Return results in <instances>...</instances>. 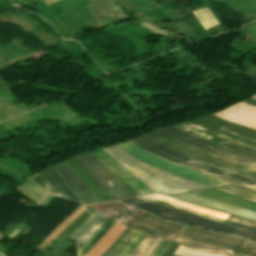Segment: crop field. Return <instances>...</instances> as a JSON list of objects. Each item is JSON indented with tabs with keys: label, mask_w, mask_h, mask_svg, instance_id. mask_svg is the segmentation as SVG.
Here are the masks:
<instances>
[{
	"label": "crop field",
	"mask_w": 256,
	"mask_h": 256,
	"mask_svg": "<svg viewBox=\"0 0 256 256\" xmlns=\"http://www.w3.org/2000/svg\"><path fill=\"white\" fill-rule=\"evenodd\" d=\"M131 143L161 157L189 168L216 176L218 178L237 183L256 190V180L239 175L228 170L213 166L200 160L182 155L172 149L163 147L145 136L130 141Z\"/></svg>",
	"instance_id": "1"
},
{
	"label": "crop field",
	"mask_w": 256,
	"mask_h": 256,
	"mask_svg": "<svg viewBox=\"0 0 256 256\" xmlns=\"http://www.w3.org/2000/svg\"><path fill=\"white\" fill-rule=\"evenodd\" d=\"M120 202H124L130 205H133L135 207L157 213L163 216H166L170 219L177 220L183 223L199 226L202 228H206L209 230L225 233V234H230V235H235L239 237H243L246 239H250L253 241H256V233L239 229L236 227L228 226L225 224H221L218 222H214L208 219H204L201 217L193 216L185 212L178 211L173 208L161 206L155 203H151L145 200L138 199L136 197L126 199Z\"/></svg>",
	"instance_id": "2"
},
{
	"label": "crop field",
	"mask_w": 256,
	"mask_h": 256,
	"mask_svg": "<svg viewBox=\"0 0 256 256\" xmlns=\"http://www.w3.org/2000/svg\"><path fill=\"white\" fill-rule=\"evenodd\" d=\"M119 148H121L123 151H125L130 156L141 160L142 162H145L149 165H152L154 167H157L159 169H162L164 171H167L169 173H172L174 175H177L179 177H182L187 180L195 181L200 184H203L205 186L209 187H219V186H226L229 184H232L230 182L218 179L216 177L186 168L184 166L178 165L176 163L158 158L151 153L129 143H122L117 145Z\"/></svg>",
	"instance_id": "3"
},
{
	"label": "crop field",
	"mask_w": 256,
	"mask_h": 256,
	"mask_svg": "<svg viewBox=\"0 0 256 256\" xmlns=\"http://www.w3.org/2000/svg\"><path fill=\"white\" fill-rule=\"evenodd\" d=\"M74 159L95 180L102 190L113 199L120 200L139 195L107 171L91 153L76 156Z\"/></svg>",
	"instance_id": "4"
},
{
	"label": "crop field",
	"mask_w": 256,
	"mask_h": 256,
	"mask_svg": "<svg viewBox=\"0 0 256 256\" xmlns=\"http://www.w3.org/2000/svg\"><path fill=\"white\" fill-rule=\"evenodd\" d=\"M148 138L166 146L177 150L185 155L203 160L205 162L211 163L213 165L228 169L230 171L240 173L256 179V169L226 160L222 157L207 153L205 151L196 149L194 147L188 146L180 141H177L159 131L146 135Z\"/></svg>",
	"instance_id": "5"
},
{
	"label": "crop field",
	"mask_w": 256,
	"mask_h": 256,
	"mask_svg": "<svg viewBox=\"0 0 256 256\" xmlns=\"http://www.w3.org/2000/svg\"><path fill=\"white\" fill-rule=\"evenodd\" d=\"M159 131H161L177 140H180L182 142L193 145L195 147H198L203 150L209 151L211 153L220 155L222 157L229 158L231 160L242 163L244 165H248V166L256 168V159H253V158L248 157L243 154L233 152V151L226 149L220 145L213 144V143L207 142L205 140L199 139L197 137L185 134L173 127L163 128Z\"/></svg>",
	"instance_id": "6"
},
{
	"label": "crop field",
	"mask_w": 256,
	"mask_h": 256,
	"mask_svg": "<svg viewBox=\"0 0 256 256\" xmlns=\"http://www.w3.org/2000/svg\"><path fill=\"white\" fill-rule=\"evenodd\" d=\"M110 149L112 151H114L115 153H117L118 155H120L121 157H123L128 162H130L135 167L147 172L148 174L152 175L153 177H155L159 180H162L168 184H171L173 186H176V187L188 190V191L200 189V188H207L198 183L184 180L182 178H179L177 176H174L172 174H169L167 172H164V171L154 168L152 166L146 165V164L130 157L129 155H127L125 152H123L116 146L110 147Z\"/></svg>",
	"instance_id": "7"
},
{
	"label": "crop field",
	"mask_w": 256,
	"mask_h": 256,
	"mask_svg": "<svg viewBox=\"0 0 256 256\" xmlns=\"http://www.w3.org/2000/svg\"><path fill=\"white\" fill-rule=\"evenodd\" d=\"M202 232H203V230H199V229L184 225L181 228V230L175 235L173 240H177L181 243L189 244V245L196 246V247H200V248H204V249H208V250L219 251V252H225V253H229V254H233V252L236 250V248H233V247L218 245V244H214V243H210V242H206V241L197 239ZM173 242H176V241H173ZM176 243H178V242H176ZM181 243H179V244H181ZM185 244H181V245L199 249V248L192 247V246L185 245ZM199 250H203V249H199ZM208 250H203V251L229 255V254H225V253H219V252L208 251ZM233 255H235V254H233ZM233 255H230V256H233Z\"/></svg>",
	"instance_id": "8"
},
{
	"label": "crop field",
	"mask_w": 256,
	"mask_h": 256,
	"mask_svg": "<svg viewBox=\"0 0 256 256\" xmlns=\"http://www.w3.org/2000/svg\"><path fill=\"white\" fill-rule=\"evenodd\" d=\"M53 168L64 180L72 193L83 203L94 204L99 202L86 184L65 163L53 166Z\"/></svg>",
	"instance_id": "9"
},
{
	"label": "crop field",
	"mask_w": 256,
	"mask_h": 256,
	"mask_svg": "<svg viewBox=\"0 0 256 256\" xmlns=\"http://www.w3.org/2000/svg\"><path fill=\"white\" fill-rule=\"evenodd\" d=\"M173 197L256 221V212L243 209L237 206H233L227 203L219 202V201H216L192 192L185 193L178 196H173Z\"/></svg>",
	"instance_id": "10"
},
{
	"label": "crop field",
	"mask_w": 256,
	"mask_h": 256,
	"mask_svg": "<svg viewBox=\"0 0 256 256\" xmlns=\"http://www.w3.org/2000/svg\"><path fill=\"white\" fill-rule=\"evenodd\" d=\"M132 226L138 227V228H141L148 232L159 234L163 237L172 239L173 236L177 233V231L181 228L182 225L166 221V220L161 219L155 215L147 213L141 219H139L137 222H135ZM134 227L130 226V228L140 230V229L134 228ZM143 230H141V231H143ZM148 232H146V233H148ZM151 233H149V234H151ZM155 234H151V235L161 237V236L155 235ZM163 237H161V238H163ZM164 239H166V238H164ZM170 239H167V240L170 241Z\"/></svg>",
	"instance_id": "11"
},
{
	"label": "crop field",
	"mask_w": 256,
	"mask_h": 256,
	"mask_svg": "<svg viewBox=\"0 0 256 256\" xmlns=\"http://www.w3.org/2000/svg\"><path fill=\"white\" fill-rule=\"evenodd\" d=\"M95 158L105 166L111 173L120 178L125 184L134 189L141 195L148 193H155V191L150 190L139 182L136 178L122 169L117 163H115L111 158H109L101 149L92 152Z\"/></svg>",
	"instance_id": "12"
},
{
	"label": "crop field",
	"mask_w": 256,
	"mask_h": 256,
	"mask_svg": "<svg viewBox=\"0 0 256 256\" xmlns=\"http://www.w3.org/2000/svg\"><path fill=\"white\" fill-rule=\"evenodd\" d=\"M108 156H110L114 161H116L120 166H122L125 170H127L129 173H131L133 176H135V175H137L141 180H143L146 184H148L150 187H152L153 189H155V190H159V191H162V192H164L165 190H167V189H170V190H172V191H177V190H182V189H179V188H176V187H173V186H171V185H168V184H166V183H164V182H162V181H159V180H157V179H155V178H153L152 176H150V175H148L147 173H145V172H143V171H141V170H139V169H137V168H135L134 166H132L130 163H128L127 161H125L124 159H122L120 156H118L117 154H115L114 152H112L109 148H101ZM138 172L140 175H142L143 177L145 176V177H147V178H149V179H151L152 181H154V182H156V183H158L159 185H161V186H163V187H165V188H167V189H165V188H163V187H161V186H159L158 184H156V183H154V182H152L151 180H149V179H147V178H143V177H141L139 174H137L136 172ZM135 172V173H134ZM135 175H134V174ZM137 176H135L138 180H140ZM140 180V181H141ZM143 181H141L143 184H145ZM145 184V185H146ZM148 185H146V186H148ZM148 186V187H149ZM149 187V188H150ZM151 188V189H152ZM167 191H169V190H167ZM167 191H165L163 194H167V195H173L174 193H176V194H179V193H182L183 191H185V190H183V191H178V192H174V193H171V192H167ZM161 192V193H162ZM185 192H188V191H185Z\"/></svg>",
	"instance_id": "13"
},
{
	"label": "crop field",
	"mask_w": 256,
	"mask_h": 256,
	"mask_svg": "<svg viewBox=\"0 0 256 256\" xmlns=\"http://www.w3.org/2000/svg\"><path fill=\"white\" fill-rule=\"evenodd\" d=\"M138 198L145 199V200H148V201H152V202H155V203H158V204L170 206V207H173V208H176V209H179V210L189 212L193 215L201 216V217H204V218H208V219H211V220H215V221L224 223V220L217 219V218H214V217H211V216H207V215H204V214H201V213H198V212H194V211H191V210H188V209H184V208H181V207H178V206H175V205H171V204H168V203H165V202H162V201H158V200H155V199H152V198H148V197H145V196L138 197ZM225 224L240 227V228H244V229H248V230H252V231H256V223L245 220V219L233 217V216H230V215L227 218V220L225 221Z\"/></svg>",
	"instance_id": "14"
},
{
	"label": "crop field",
	"mask_w": 256,
	"mask_h": 256,
	"mask_svg": "<svg viewBox=\"0 0 256 256\" xmlns=\"http://www.w3.org/2000/svg\"><path fill=\"white\" fill-rule=\"evenodd\" d=\"M193 192L214 198L219 201L227 202L230 204H234V205H237L240 207H244V208L256 211V203L250 202V201H247V200H244V199H241V198H238V197L226 194V193H222V192L215 191L212 189L193 191Z\"/></svg>",
	"instance_id": "15"
},
{
	"label": "crop field",
	"mask_w": 256,
	"mask_h": 256,
	"mask_svg": "<svg viewBox=\"0 0 256 256\" xmlns=\"http://www.w3.org/2000/svg\"><path fill=\"white\" fill-rule=\"evenodd\" d=\"M178 127L179 129L186 131L194 136L201 137L203 139H206L208 141L211 140V138L215 135L216 131L208 129L206 127L200 126L198 124L188 122V123H182L178 125H174Z\"/></svg>",
	"instance_id": "16"
},
{
	"label": "crop field",
	"mask_w": 256,
	"mask_h": 256,
	"mask_svg": "<svg viewBox=\"0 0 256 256\" xmlns=\"http://www.w3.org/2000/svg\"><path fill=\"white\" fill-rule=\"evenodd\" d=\"M199 239H203V240L218 243V244L229 245L236 248H238V246L242 242V240L234 239L231 237H227L224 235L207 232V231H204L202 235L199 237Z\"/></svg>",
	"instance_id": "17"
},
{
	"label": "crop field",
	"mask_w": 256,
	"mask_h": 256,
	"mask_svg": "<svg viewBox=\"0 0 256 256\" xmlns=\"http://www.w3.org/2000/svg\"><path fill=\"white\" fill-rule=\"evenodd\" d=\"M99 204L120 213L118 216L112 219L118 223L122 222L124 219H126L128 216H130L132 213H134L137 210L135 208L129 207L119 202H108V203H99Z\"/></svg>",
	"instance_id": "18"
},
{
	"label": "crop field",
	"mask_w": 256,
	"mask_h": 256,
	"mask_svg": "<svg viewBox=\"0 0 256 256\" xmlns=\"http://www.w3.org/2000/svg\"><path fill=\"white\" fill-rule=\"evenodd\" d=\"M116 222L108 219L102 228L78 251L79 256L86 254L90 248L97 243L101 237L115 224Z\"/></svg>",
	"instance_id": "19"
},
{
	"label": "crop field",
	"mask_w": 256,
	"mask_h": 256,
	"mask_svg": "<svg viewBox=\"0 0 256 256\" xmlns=\"http://www.w3.org/2000/svg\"><path fill=\"white\" fill-rule=\"evenodd\" d=\"M218 190L227 192V193H231L234 195H237L239 197H243L246 199H250V200H254L256 201V191L252 190V189H248L242 186H238L236 184L234 185H230L224 188H216Z\"/></svg>",
	"instance_id": "20"
},
{
	"label": "crop field",
	"mask_w": 256,
	"mask_h": 256,
	"mask_svg": "<svg viewBox=\"0 0 256 256\" xmlns=\"http://www.w3.org/2000/svg\"><path fill=\"white\" fill-rule=\"evenodd\" d=\"M139 231L131 229L129 233L106 255L119 256L130 240L137 235Z\"/></svg>",
	"instance_id": "21"
},
{
	"label": "crop field",
	"mask_w": 256,
	"mask_h": 256,
	"mask_svg": "<svg viewBox=\"0 0 256 256\" xmlns=\"http://www.w3.org/2000/svg\"><path fill=\"white\" fill-rule=\"evenodd\" d=\"M108 218L101 216L97 222L78 241V250L101 228Z\"/></svg>",
	"instance_id": "22"
},
{
	"label": "crop field",
	"mask_w": 256,
	"mask_h": 256,
	"mask_svg": "<svg viewBox=\"0 0 256 256\" xmlns=\"http://www.w3.org/2000/svg\"><path fill=\"white\" fill-rule=\"evenodd\" d=\"M216 136H219V137H222V138H225V139H228V140H231V141H234V142H237V143H240V144H243V145H246L248 147L256 149V142L255 141L243 139V138L237 137V136L232 135V134H230L228 132H225V131L219 130L218 133L216 134Z\"/></svg>",
	"instance_id": "23"
},
{
	"label": "crop field",
	"mask_w": 256,
	"mask_h": 256,
	"mask_svg": "<svg viewBox=\"0 0 256 256\" xmlns=\"http://www.w3.org/2000/svg\"><path fill=\"white\" fill-rule=\"evenodd\" d=\"M175 255H181V256H223V255H217L207 252H202L199 250L183 247L179 245L178 249L175 252Z\"/></svg>",
	"instance_id": "24"
},
{
	"label": "crop field",
	"mask_w": 256,
	"mask_h": 256,
	"mask_svg": "<svg viewBox=\"0 0 256 256\" xmlns=\"http://www.w3.org/2000/svg\"><path fill=\"white\" fill-rule=\"evenodd\" d=\"M48 172L53 177L55 183L65 192V194L68 196L69 199L79 201L68 189V187L65 185V183L62 181V179L58 176V174L53 170V168L47 169Z\"/></svg>",
	"instance_id": "25"
},
{
	"label": "crop field",
	"mask_w": 256,
	"mask_h": 256,
	"mask_svg": "<svg viewBox=\"0 0 256 256\" xmlns=\"http://www.w3.org/2000/svg\"><path fill=\"white\" fill-rule=\"evenodd\" d=\"M30 179L32 182H34L36 185H38L43 190H45L53 195H56L42 173H40Z\"/></svg>",
	"instance_id": "26"
},
{
	"label": "crop field",
	"mask_w": 256,
	"mask_h": 256,
	"mask_svg": "<svg viewBox=\"0 0 256 256\" xmlns=\"http://www.w3.org/2000/svg\"><path fill=\"white\" fill-rule=\"evenodd\" d=\"M145 235V233L139 232L138 235L131 240L129 245L126 247V249L120 256H129L132 253V251L139 245V243L142 241Z\"/></svg>",
	"instance_id": "27"
},
{
	"label": "crop field",
	"mask_w": 256,
	"mask_h": 256,
	"mask_svg": "<svg viewBox=\"0 0 256 256\" xmlns=\"http://www.w3.org/2000/svg\"><path fill=\"white\" fill-rule=\"evenodd\" d=\"M154 238V236H150L147 234L144 240L140 243L137 249L130 256H140L147 248V246L154 240Z\"/></svg>",
	"instance_id": "28"
},
{
	"label": "crop field",
	"mask_w": 256,
	"mask_h": 256,
	"mask_svg": "<svg viewBox=\"0 0 256 256\" xmlns=\"http://www.w3.org/2000/svg\"><path fill=\"white\" fill-rule=\"evenodd\" d=\"M90 224V217L85 220L79 227H77L68 237L77 240L88 228Z\"/></svg>",
	"instance_id": "29"
},
{
	"label": "crop field",
	"mask_w": 256,
	"mask_h": 256,
	"mask_svg": "<svg viewBox=\"0 0 256 256\" xmlns=\"http://www.w3.org/2000/svg\"><path fill=\"white\" fill-rule=\"evenodd\" d=\"M87 207H89V208H91V209H93V210H95V211L105 215L106 217H108L110 219H112L113 217H115L118 214V213H116V212H114V211H112L110 209H107V208H105L103 206H100L98 204L87 206Z\"/></svg>",
	"instance_id": "30"
},
{
	"label": "crop field",
	"mask_w": 256,
	"mask_h": 256,
	"mask_svg": "<svg viewBox=\"0 0 256 256\" xmlns=\"http://www.w3.org/2000/svg\"><path fill=\"white\" fill-rule=\"evenodd\" d=\"M42 172L48 179V181H49L50 185L52 186L53 190L55 191V193L58 196L67 198V196L63 193V191L54 183V181H53L52 177L49 175V173L46 170H44Z\"/></svg>",
	"instance_id": "31"
},
{
	"label": "crop field",
	"mask_w": 256,
	"mask_h": 256,
	"mask_svg": "<svg viewBox=\"0 0 256 256\" xmlns=\"http://www.w3.org/2000/svg\"><path fill=\"white\" fill-rule=\"evenodd\" d=\"M144 214H146V212L138 210L134 214H132L130 217H128L126 220H124L121 224L129 227L132 223H134L136 220H138Z\"/></svg>",
	"instance_id": "32"
},
{
	"label": "crop field",
	"mask_w": 256,
	"mask_h": 256,
	"mask_svg": "<svg viewBox=\"0 0 256 256\" xmlns=\"http://www.w3.org/2000/svg\"><path fill=\"white\" fill-rule=\"evenodd\" d=\"M169 244H170L169 241L162 239V241L159 244V246L157 247L156 251L151 256H161Z\"/></svg>",
	"instance_id": "33"
},
{
	"label": "crop field",
	"mask_w": 256,
	"mask_h": 256,
	"mask_svg": "<svg viewBox=\"0 0 256 256\" xmlns=\"http://www.w3.org/2000/svg\"><path fill=\"white\" fill-rule=\"evenodd\" d=\"M236 254L244 255V256H256V250L240 246V248L237 250Z\"/></svg>",
	"instance_id": "34"
},
{
	"label": "crop field",
	"mask_w": 256,
	"mask_h": 256,
	"mask_svg": "<svg viewBox=\"0 0 256 256\" xmlns=\"http://www.w3.org/2000/svg\"><path fill=\"white\" fill-rule=\"evenodd\" d=\"M214 139H217L219 141H222V142H225V143H228L230 145H233V146H236V147H239L241 149H244V150H247V151H250V152H253L256 154V150L254 149H251V148H248V147H245L243 145H240V144H237V143H234V142H231V141H228V140H225V139H222V138H219V137H216L214 136Z\"/></svg>",
	"instance_id": "35"
},
{
	"label": "crop field",
	"mask_w": 256,
	"mask_h": 256,
	"mask_svg": "<svg viewBox=\"0 0 256 256\" xmlns=\"http://www.w3.org/2000/svg\"><path fill=\"white\" fill-rule=\"evenodd\" d=\"M130 230V228H126L125 231L120 235V237L117 239V241L102 255L105 256L124 236L125 234Z\"/></svg>",
	"instance_id": "36"
},
{
	"label": "crop field",
	"mask_w": 256,
	"mask_h": 256,
	"mask_svg": "<svg viewBox=\"0 0 256 256\" xmlns=\"http://www.w3.org/2000/svg\"><path fill=\"white\" fill-rule=\"evenodd\" d=\"M91 216H92V224H91V226H92L96 222V220L101 216V214L95 212V213L91 214Z\"/></svg>",
	"instance_id": "37"
},
{
	"label": "crop field",
	"mask_w": 256,
	"mask_h": 256,
	"mask_svg": "<svg viewBox=\"0 0 256 256\" xmlns=\"http://www.w3.org/2000/svg\"><path fill=\"white\" fill-rule=\"evenodd\" d=\"M243 102H245V103H247V104H249V105H251V106L256 107V100H254V99H252V98H249V99H247V100H245V101H243Z\"/></svg>",
	"instance_id": "38"
},
{
	"label": "crop field",
	"mask_w": 256,
	"mask_h": 256,
	"mask_svg": "<svg viewBox=\"0 0 256 256\" xmlns=\"http://www.w3.org/2000/svg\"><path fill=\"white\" fill-rule=\"evenodd\" d=\"M242 245L256 249V244H253V243H249V242L244 241Z\"/></svg>",
	"instance_id": "39"
},
{
	"label": "crop field",
	"mask_w": 256,
	"mask_h": 256,
	"mask_svg": "<svg viewBox=\"0 0 256 256\" xmlns=\"http://www.w3.org/2000/svg\"><path fill=\"white\" fill-rule=\"evenodd\" d=\"M221 130H225V131H228V132H231V133H234V134H237V135H240V136L246 137V138H250V139L256 140V139H254V138H251V137H248V136H245V135H242V134H239V133H236V132L230 131V130H226V129H223V128H221Z\"/></svg>",
	"instance_id": "40"
},
{
	"label": "crop field",
	"mask_w": 256,
	"mask_h": 256,
	"mask_svg": "<svg viewBox=\"0 0 256 256\" xmlns=\"http://www.w3.org/2000/svg\"><path fill=\"white\" fill-rule=\"evenodd\" d=\"M214 140V139H213ZM215 141H217V140H215ZM219 142V141H218ZM222 143V142H221ZM223 144H225V143H223ZM226 145H228V144H226ZM228 146H230V145H228ZM231 147H233V146H231ZM233 148H236V147H233ZM236 149H238V148H236ZM238 150H241V149H238ZM241 151H244V150H241ZM244 152H246V151H244ZM247 153H249V152H247ZM250 154H252V153H250ZM254 155V154H253ZM256 156V155H255Z\"/></svg>",
	"instance_id": "41"
},
{
	"label": "crop field",
	"mask_w": 256,
	"mask_h": 256,
	"mask_svg": "<svg viewBox=\"0 0 256 256\" xmlns=\"http://www.w3.org/2000/svg\"><path fill=\"white\" fill-rule=\"evenodd\" d=\"M224 128V127H223ZM254 137V136H253Z\"/></svg>",
	"instance_id": "42"
}]
</instances>
